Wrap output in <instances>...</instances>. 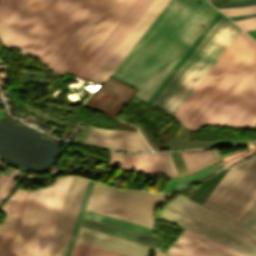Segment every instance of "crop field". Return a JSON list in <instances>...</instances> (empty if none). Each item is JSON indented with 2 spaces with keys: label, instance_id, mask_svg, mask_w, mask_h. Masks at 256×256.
I'll list each match as a JSON object with an SVG mask.
<instances>
[{
  "label": "crop field",
  "instance_id": "obj_1",
  "mask_svg": "<svg viewBox=\"0 0 256 256\" xmlns=\"http://www.w3.org/2000/svg\"><path fill=\"white\" fill-rule=\"evenodd\" d=\"M239 34L256 47L246 33ZM239 34L175 113L187 128L203 126L255 61L256 48ZM207 123L246 129L256 125V61Z\"/></svg>",
  "mask_w": 256,
  "mask_h": 256
},
{
  "label": "crop field",
  "instance_id": "obj_2",
  "mask_svg": "<svg viewBox=\"0 0 256 256\" xmlns=\"http://www.w3.org/2000/svg\"><path fill=\"white\" fill-rule=\"evenodd\" d=\"M212 6V5H211ZM206 0H172L112 75L145 103L216 15Z\"/></svg>",
  "mask_w": 256,
  "mask_h": 256
},
{
  "label": "crop field",
  "instance_id": "obj_3",
  "mask_svg": "<svg viewBox=\"0 0 256 256\" xmlns=\"http://www.w3.org/2000/svg\"><path fill=\"white\" fill-rule=\"evenodd\" d=\"M96 1L2 0L0 40L46 65Z\"/></svg>",
  "mask_w": 256,
  "mask_h": 256
},
{
  "label": "crop field",
  "instance_id": "obj_4",
  "mask_svg": "<svg viewBox=\"0 0 256 256\" xmlns=\"http://www.w3.org/2000/svg\"><path fill=\"white\" fill-rule=\"evenodd\" d=\"M73 176L42 189L19 188L0 208V256H47Z\"/></svg>",
  "mask_w": 256,
  "mask_h": 256
},
{
  "label": "crop field",
  "instance_id": "obj_5",
  "mask_svg": "<svg viewBox=\"0 0 256 256\" xmlns=\"http://www.w3.org/2000/svg\"><path fill=\"white\" fill-rule=\"evenodd\" d=\"M168 196L95 183L86 209L152 228L154 212Z\"/></svg>",
  "mask_w": 256,
  "mask_h": 256
},
{
  "label": "crop field",
  "instance_id": "obj_6",
  "mask_svg": "<svg viewBox=\"0 0 256 256\" xmlns=\"http://www.w3.org/2000/svg\"><path fill=\"white\" fill-rule=\"evenodd\" d=\"M256 204V156L230 169L204 205L242 222Z\"/></svg>",
  "mask_w": 256,
  "mask_h": 256
},
{
  "label": "crop field",
  "instance_id": "obj_7",
  "mask_svg": "<svg viewBox=\"0 0 256 256\" xmlns=\"http://www.w3.org/2000/svg\"><path fill=\"white\" fill-rule=\"evenodd\" d=\"M240 30L227 18L158 106L173 115Z\"/></svg>",
  "mask_w": 256,
  "mask_h": 256
},
{
  "label": "crop field",
  "instance_id": "obj_8",
  "mask_svg": "<svg viewBox=\"0 0 256 256\" xmlns=\"http://www.w3.org/2000/svg\"><path fill=\"white\" fill-rule=\"evenodd\" d=\"M134 2L135 0H117L59 71L58 75L63 76L66 72L76 75Z\"/></svg>",
  "mask_w": 256,
  "mask_h": 256
},
{
  "label": "crop field",
  "instance_id": "obj_9",
  "mask_svg": "<svg viewBox=\"0 0 256 256\" xmlns=\"http://www.w3.org/2000/svg\"><path fill=\"white\" fill-rule=\"evenodd\" d=\"M167 206L256 248V232L182 196L169 201Z\"/></svg>",
  "mask_w": 256,
  "mask_h": 256
},
{
  "label": "crop field",
  "instance_id": "obj_10",
  "mask_svg": "<svg viewBox=\"0 0 256 256\" xmlns=\"http://www.w3.org/2000/svg\"><path fill=\"white\" fill-rule=\"evenodd\" d=\"M153 0H136L77 76L90 80Z\"/></svg>",
  "mask_w": 256,
  "mask_h": 256
},
{
  "label": "crop field",
  "instance_id": "obj_11",
  "mask_svg": "<svg viewBox=\"0 0 256 256\" xmlns=\"http://www.w3.org/2000/svg\"><path fill=\"white\" fill-rule=\"evenodd\" d=\"M169 0H154L96 74L92 77L91 81L102 84L115 70L118 64L130 51L133 45L141 37L144 31L156 18L159 12L167 4Z\"/></svg>",
  "mask_w": 256,
  "mask_h": 256
},
{
  "label": "crop field",
  "instance_id": "obj_12",
  "mask_svg": "<svg viewBox=\"0 0 256 256\" xmlns=\"http://www.w3.org/2000/svg\"><path fill=\"white\" fill-rule=\"evenodd\" d=\"M116 0H98L53 58L46 65L57 74Z\"/></svg>",
  "mask_w": 256,
  "mask_h": 256
},
{
  "label": "crop field",
  "instance_id": "obj_13",
  "mask_svg": "<svg viewBox=\"0 0 256 256\" xmlns=\"http://www.w3.org/2000/svg\"><path fill=\"white\" fill-rule=\"evenodd\" d=\"M87 181L73 177L48 256H59L61 248L67 247Z\"/></svg>",
  "mask_w": 256,
  "mask_h": 256
},
{
  "label": "crop field",
  "instance_id": "obj_14",
  "mask_svg": "<svg viewBox=\"0 0 256 256\" xmlns=\"http://www.w3.org/2000/svg\"><path fill=\"white\" fill-rule=\"evenodd\" d=\"M226 18L227 17H225L221 13H217V15L209 23L206 29L202 32V34L186 52L183 58L179 61V63L175 66V68L159 86L156 92L154 91L155 93L152 95V97L150 96L151 98L148 100V102L146 101V104L152 107L157 106L159 104V102L171 89L174 83L178 80V78L182 75V73L186 70V68L190 65V63L194 60V58L198 55V53L202 50V48L206 45V43L217 31V29L221 26V24L225 21Z\"/></svg>",
  "mask_w": 256,
  "mask_h": 256
},
{
  "label": "crop field",
  "instance_id": "obj_15",
  "mask_svg": "<svg viewBox=\"0 0 256 256\" xmlns=\"http://www.w3.org/2000/svg\"><path fill=\"white\" fill-rule=\"evenodd\" d=\"M85 142L130 152L150 151L139 132L134 131L105 130L92 126Z\"/></svg>",
  "mask_w": 256,
  "mask_h": 256
},
{
  "label": "crop field",
  "instance_id": "obj_16",
  "mask_svg": "<svg viewBox=\"0 0 256 256\" xmlns=\"http://www.w3.org/2000/svg\"><path fill=\"white\" fill-rule=\"evenodd\" d=\"M135 90L109 78L85 103L117 117Z\"/></svg>",
  "mask_w": 256,
  "mask_h": 256
},
{
  "label": "crop field",
  "instance_id": "obj_17",
  "mask_svg": "<svg viewBox=\"0 0 256 256\" xmlns=\"http://www.w3.org/2000/svg\"><path fill=\"white\" fill-rule=\"evenodd\" d=\"M174 245L196 256H242L188 229L177 239ZM167 252L172 256H194L176 246Z\"/></svg>",
  "mask_w": 256,
  "mask_h": 256
},
{
  "label": "crop field",
  "instance_id": "obj_18",
  "mask_svg": "<svg viewBox=\"0 0 256 256\" xmlns=\"http://www.w3.org/2000/svg\"><path fill=\"white\" fill-rule=\"evenodd\" d=\"M162 214H164V215H166V216H168V217H170V218H172V219H174V220H176V221H178V222H180V223H182L186 226H189V227H191V228H193V229H195V230H197V231H199V232H201V233H203V234H205V235H207V236H209L213 239H216V240H218V241H220V242H222V243H224V244H226V245H228V246H230V247H232V248H234V249H236V250H238L242 253H245L249 256H256V249L251 248V247H249V246H247V245H245V244H243V243H241V242H239V241H237L233 238H230V237H228V236H226V235H224V234H222V233H220V232H218V231H216V230H214L210 227H207V226H205V225H203V224H201V223H199V222H197V221H195V220H193L189 217H186V216H184V215H182V214H180V213H178V212H176V211H174V210H172V209H170L166 206L164 207V209L162 211ZM162 214H160V218L173 221V222H175V223H177V224H179V225H181L185 228H188V229L206 237V238H209V237H207V236H205V235H203V234H201V233H199V232H197V231H195V230H193L189 227H186V226H184V225H182V224H180V223H178V222H176V221H174V220H172V219H170V218H168V217H166ZM211 238H209V239H211ZM213 239H211V240H213ZM213 241H215V240H213ZM218 241H215V242H217V243H219V244H221L225 247H228V246H226V245H224V244H222ZM230 247H228V248H230ZM232 248H230V249H232ZM234 249H232V250H234ZM236 250H234V251H236ZM238 251H236V252H238ZM240 252H238V253H240ZM242 253H240V254H242ZM245 254H242V255L247 256Z\"/></svg>",
  "mask_w": 256,
  "mask_h": 256
},
{
  "label": "crop field",
  "instance_id": "obj_19",
  "mask_svg": "<svg viewBox=\"0 0 256 256\" xmlns=\"http://www.w3.org/2000/svg\"><path fill=\"white\" fill-rule=\"evenodd\" d=\"M76 240L127 256H147L151 251V248L146 246L83 228L79 229Z\"/></svg>",
  "mask_w": 256,
  "mask_h": 256
},
{
  "label": "crop field",
  "instance_id": "obj_20",
  "mask_svg": "<svg viewBox=\"0 0 256 256\" xmlns=\"http://www.w3.org/2000/svg\"><path fill=\"white\" fill-rule=\"evenodd\" d=\"M84 217L154 237L153 229H151V228H147L144 226H140V225L133 224V223L126 222L123 220H119V219H115L112 217H108V216L101 215V214L94 213V212L87 211V210L85 212Z\"/></svg>",
  "mask_w": 256,
  "mask_h": 256
},
{
  "label": "crop field",
  "instance_id": "obj_21",
  "mask_svg": "<svg viewBox=\"0 0 256 256\" xmlns=\"http://www.w3.org/2000/svg\"><path fill=\"white\" fill-rule=\"evenodd\" d=\"M141 173H166L158 154L133 155Z\"/></svg>",
  "mask_w": 256,
  "mask_h": 256
},
{
  "label": "crop field",
  "instance_id": "obj_22",
  "mask_svg": "<svg viewBox=\"0 0 256 256\" xmlns=\"http://www.w3.org/2000/svg\"><path fill=\"white\" fill-rule=\"evenodd\" d=\"M216 170L211 169L209 167H206L200 171H197L193 174L190 175H186V176H182V177H178V178H174L171 179L169 185L167 186L165 192L168 193H174L176 191H179L185 187H187L188 185L198 181L199 179L215 172Z\"/></svg>",
  "mask_w": 256,
  "mask_h": 256
},
{
  "label": "crop field",
  "instance_id": "obj_23",
  "mask_svg": "<svg viewBox=\"0 0 256 256\" xmlns=\"http://www.w3.org/2000/svg\"><path fill=\"white\" fill-rule=\"evenodd\" d=\"M180 153L189 172L213 160L209 150L184 151Z\"/></svg>",
  "mask_w": 256,
  "mask_h": 256
},
{
  "label": "crop field",
  "instance_id": "obj_24",
  "mask_svg": "<svg viewBox=\"0 0 256 256\" xmlns=\"http://www.w3.org/2000/svg\"><path fill=\"white\" fill-rule=\"evenodd\" d=\"M71 256H124L81 242H75Z\"/></svg>",
  "mask_w": 256,
  "mask_h": 256
},
{
  "label": "crop field",
  "instance_id": "obj_25",
  "mask_svg": "<svg viewBox=\"0 0 256 256\" xmlns=\"http://www.w3.org/2000/svg\"><path fill=\"white\" fill-rule=\"evenodd\" d=\"M109 153L111 159V163L109 164L110 166L139 172L132 155L118 154L112 151H109Z\"/></svg>",
  "mask_w": 256,
  "mask_h": 256
},
{
  "label": "crop field",
  "instance_id": "obj_26",
  "mask_svg": "<svg viewBox=\"0 0 256 256\" xmlns=\"http://www.w3.org/2000/svg\"><path fill=\"white\" fill-rule=\"evenodd\" d=\"M92 184H93V182L88 181V184H87V187L85 190V194H84V197H83V200H82L79 212H78V216H77V219H76V222H75L72 234H71V238H70V241H69V244H68V247H67V250H66L64 256H70L72 246H73V243H74V240H75V237H76L79 225H80V221H81V218H82V215H83V212H84V209H85L88 197H89V193H90Z\"/></svg>",
  "mask_w": 256,
  "mask_h": 256
},
{
  "label": "crop field",
  "instance_id": "obj_27",
  "mask_svg": "<svg viewBox=\"0 0 256 256\" xmlns=\"http://www.w3.org/2000/svg\"><path fill=\"white\" fill-rule=\"evenodd\" d=\"M18 173L19 171L13 170L8 177L5 175H2L0 177V202L14 186L15 182H13L12 180L16 177Z\"/></svg>",
  "mask_w": 256,
  "mask_h": 256
},
{
  "label": "crop field",
  "instance_id": "obj_28",
  "mask_svg": "<svg viewBox=\"0 0 256 256\" xmlns=\"http://www.w3.org/2000/svg\"><path fill=\"white\" fill-rule=\"evenodd\" d=\"M219 10L222 11L227 16L247 14V13L256 12V5L249 6V7L225 8V9H219Z\"/></svg>",
  "mask_w": 256,
  "mask_h": 256
},
{
  "label": "crop field",
  "instance_id": "obj_29",
  "mask_svg": "<svg viewBox=\"0 0 256 256\" xmlns=\"http://www.w3.org/2000/svg\"><path fill=\"white\" fill-rule=\"evenodd\" d=\"M168 174H178L168 153L159 154Z\"/></svg>",
  "mask_w": 256,
  "mask_h": 256
},
{
  "label": "crop field",
  "instance_id": "obj_30",
  "mask_svg": "<svg viewBox=\"0 0 256 256\" xmlns=\"http://www.w3.org/2000/svg\"><path fill=\"white\" fill-rule=\"evenodd\" d=\"M251 17H256V13L248 14V15L232 16L229 18H231L233 21H236V20H241V19H246V18H251Z\"/></svg>",
  "mask_w": 256,
  "mask_h": 256
},
{
  "label": "crop field",
  "instance_id": "obj_31",
  "mask_svg": "<svg viewBox=\"0 0 256 256\" xmlns=\"http://www.w3.org/2000/svg\"><path fill=\"white\" fill-rule=\"evenodd\" d=\"M255 22H256V18H251V19L236 21L235 23L238 26H241V25L251 24V23H255Z\"/></svg>",
  "mask_w": 256,
  "mask_h": 256
},
{
  "label": "crop field",
  "instance_id": "obj_32",
  "mask_svg": "<svg viewBox=\"0 0 256 256\" xmlns=\"http://www.w3.org/2000/svg\"><path fill=\"white\" fill-rule=\"evenodd\" d=\"M247 226L256 230V214L253 216V218L250 220Z\"/></svg>",
  "mask_w": 256,
  "mask_h": 256
},
{
  "label": "crop field",
  "instance_id": "obj_33",
  "mask_svg": "<svg viewBox=\"0 0 256 256\" xmlns=\"http://www.w3.org/2000/svg\"><path fill=\"white\" fill-rule=\"evenodd\" d=\"M256 212V206L253 208V210L250 212V214L247 216V218L244 220L243 224H247V222L250 220V218L253 216V214Z\"/></svg>",
  "mask_w": 256,
  "mask_h": 256
},
{
  "label": "crop field",
  "instance_id": "obj_34",
  "mask_svg": "<svg viewBox=\"0 0 256 256\" xmlns=\"http://www.w3.org/2000/svg\"><path fill=\"white\" fill-rule=\"evenodd\" d=\"M241 28L245 31L256 29V24L241 26Z\"/></svg>",
  "mask_w": 256,
  "mask_h": 256
},
{
  "label": "crop field",
  "instance_id": "obj_35",
  "mask_svg": "<svg viewBox=\"0 0 256 256\" xmlns=\"http://www.w3.org/2000/svg\"><path fill=\"white\" fill-rule=\"evenodd\" d=\"M212 151H213L214 156H215L216 159L219 158V157H221L220 148L214 149V150H212Z\"/></svg>",
  "mask_w": 256,
  "mask_h": 256
},
{
  "label": "crop field",
  "instance_id": "obj_36",
  "mask_svg": "<svg viewBox=\"0 0 256 256\" xmlns=\"http://www.w3.org/2000/svg\"><path fill=\"white\" fill-rule=\"evenodd\" d=\"M182 130H183V127H182V126H180V128H179L178 132L176 133V135H175L174 139H178V138H179V136H180V134H181Z\"/></svg>",
  "mask_w": 256,
  "mask_h": 256
},
{
  "label": "crop field",
  "instance_id": "obj_37",
  "mask_svg": "<svg viewBox=\"0 0 256 256\" xmlns=\"http://www.w3.org/2000/svg\"><path fill=\"white\" fill-rule=\"evenodd\" d=\"M228 0H221L219 3H217L216 5H214L216 8L220 7L221 5H223L224 3H226Z\"/></svg>",
  "mask_w": 256,
  "mask_h": 256
},
{
  "label": "crop field",
  "instance_id": "obj_38",
  "mask_svg": "<svg viewBox=\"0 0 256 256\" xmlns=\"http://www.w3.org/2000/svg\"><path fill=\"white\" fill-rule=\"evenodd\" d=\"M248 34H250L254 39H256V30L248 31Z\"/></svg>",
  "mask_w": 256,
  "mask_h": 256
},
{
  "label": "crop field",
  "instance_id": "obj_39",
  "mask_svg": "<svg viewBox=\"0 0 256 256\" xmlns=\"http://www.w3.org/2000/svg\"><path fill=\"white\" fill-rule=\"evenodd\" d=\"M155 256H167V255H165V254H163V253L157 251Z\"/></svg>",
  "mask_w": 256,
  "mask_h": 256
},
{
  "label": "crop field",
  "instance_id": "obj_40",
  "mask_svg": "<svg viewBox=\"0 0 256 256\" xmlns=\"http://www.w3.org/2000/svg\"><path fill=\"white\" fill-rule=\"evenodd\" d=\"M65 250H66V249H62V250H61L60 256H63V255H64Z\"/></svg>",
  "mask_w": 256,
  "mask_h": 256
}]
</instances>
